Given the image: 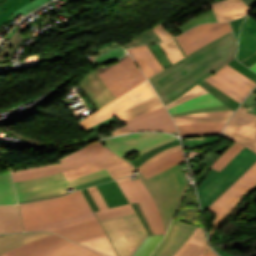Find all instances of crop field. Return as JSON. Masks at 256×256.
Segmentation results:
<instances>
[{
  "label": "crop field",
  "mask_w": 256,
  "mask_h": 256,
  "mask_svg": "<svg viewBox=\"0 0 256 256\" xmlns=\"http://www.w3.org/2000/svg\"><path fill=\"white\" fill-rule=\"evenodd\" d=\"M160 106H163V103L160 101V99L156 95L128 110H125L115 115V117L120 122H123Z\"/></svg>",
  "instance_id": "1d83c4d3"
},
{
  "label": "crop field",
  "mask_w": 256,
  "mask_h": 256,
  "mask_svg": "<svg viewBox=\"0 0 256 256\" xmlns=\"http://www.w3.org/2000/svg\"><path fill=\"white\" fill-rule=\"evenodd\" d=\"M71 1H74V0H70V1H68V3L71 2ZM101 1H102V0H101Z\"/></svg>",
  "instance_id": "e1d0b9f6"
},
{
  "label": "crop field",
  "mask_w": 256,
  "mask_h": 256,
  "mask_svg": "<svg viewBox=\"0 0 256 256\" xmlns=\"http://www.w3.org/2000/svg\"><path fill=\"white\" fill-rule=\"evenodd\" d=\"M233 110L206 112L173 118L176 125L193 122H227Z\"/></svg>",
  "instance_id": "d3111659"
},
{
  "label": "crop field",
  "mask_w": 256,
  "mask_h": 256,
  "mask_svg": "<svg viewBox=\"0 0 256 256\" xmlns=\"http://www.w3.org/2000/svg\"><path fill=\"white\" fill-rule=\"evenodd\" d=\"M218 21H230L244 16L249 9L242 0H222L211 4Z\"/></svg>",
  "instance_id": "dafd665d"
},
{
  "label": "crop field",
  "mask_w": 256,
  "mask_h": 256,
  "mask_svg": "<svg viewBox=\"0 0 256 256\" xmlns=\"http://www.w3.org/2000/svg\"><path fill=\"white\" fill-rule=\"evenodd\" d=\"M113 43H115V42L107 43V44H104V45H101V46H97V47H93V48H90V49L84 51L83 53L86 56V55H88V54H90L92 52L99 51V50H101V49H103V48H105V47H107V46H109L110 44H113Z\"/></svg>",
  "instance_id": "447ae74e"
},
{
  "label": "crop field",
  "mask_w": 256,
  "mask_h": 256,
  "mask_svg": "<svg viewBox=\"0 0 256 256\" xmlns=\"http://www.w3.org/2000/svg\"><path fill=\"white\" fill-rule=\"evenodd\" d=\"M184 161V156L182 150H179L177 152L168 154L161 158L160 160L153 163L151 166H149L147 169L142 171L141 173L144 175V177L147 179L163 170H166L172 166H175L181 162Z\"/></svg>",
  "instance_id": "750c4746"
},
{
  "label": "crop field",
  "mask_w": 256,
  "mask_h": 256,
  "mask_svg": "<svg viewBox=\"0 0 256 256\" xmlns=\"http://www.w3.org/2000/svg\"><path fill=\"white\" fill-rule=\"evenodd\" d=\"M205 80L240 103L256 85L251 79L238 73L228 65L217 70Z\"/></svg>",
  "instance_id": "cbeb9de0"
},
{
  "label": "crop field",
  "mask_w": 256,
  "mask_h": 256,
  "mask_svg": "<svg viewBox=\"0 0 256 256\" xmlns=\"http://www.w3.org/2000/svg\"><path fill=\"white\" fill-rule=\"evenodd\" d=\"M0 256H8L6 253H4V254H2V255H0Z\"/></svg>",
  "instance_id": "0f1d7ab4"
},
{
  "label": "crop field",
  "mask_w": 256,
  "mask_h": 256,
  "mask_svg": "<svg viewBox=\"0 0 256 256\" xmlns=\"http://www.w3.org/2000/svg\"><path fill=\"white\" fill-rule=\"evenodd\" d=\"M149 49L152 51V53L155 55V57L158 59V61L161 63V65L164 67H168L171 65V62L167 58L166 54L160 47L159 43L148 45Z\"/></svg>",
  "instance_id": "425ffa30"
},
{
  "label": "crop field",
  "mask_w": 256,
  "mask_h": 256,
  "mask_svg": "<svg viewBox=\"0 0 256 256\" xmlns=\"http://www.w3.org/2000/svg\"><path fill=\"white\" fill-rule=\"evenodd\" d=\"M237 59L248 67L256 62V40L243 27H241Z\"/></svg>",
  "instance_id": "eef30255"
},
{
  "label": "crop field",
  "mask_w": 256,
  "mask_h": 256,
  "mask_svg": "<svg viewBox=\"0 0 256 256\" xmlns=\"http://www.w3.org/2000/svg\"><path fill=\"white\" fill-rule=\"evenodd\" d=\"M256 93L252 92L248 98L243 102L242 106H245L246 108H250L255 102H256Z\"/></svg>",
  "instance_id": "9d1cf04e"
},
{
  "label": "crop field",
  "mask_w": 256,
  "mask_h": 256,
  "mask_svg": "<svg viewBox=\"0 0 256 256\" xmlns=\"http://www.w3.org/2000/svg\"><path fill=\"white\" fill-rule=\"evenodd\" d=\"M9 256H102L56 234L6 252Z\"/></svg>",
  "instance_id": "d8731c3e"
},
{
  "label": "crop field",
  "mask_w": 256,
  "mask_h": 256,
  "mask_svg": "<svg viewBox=\"0 0 256 256\" xmlns=\"http://www.w3.org/2000/svg\"><path fill=\"white\" fill-rule=\"evenodd\" d=\"M213 249H215L221 256H232L231 254L227 253L225 250H222L216 247H214Z\"/></svg>",
  "instance_id": "0765c3eb"
},
{
  "label": "crop field",
  "mask_w": 256,
  "mask_h": 256,
  "mask_svg": "<svg viewBox=\"0 0 256 256\" xmlns=\"http://www.w3.org/2000/svg\"><path fill=\"white\" fill-rule=\"evenodd\" d=\"M181 149L180 145L174 146L172 148L166 149L156 155H154L152 158H150L149 160H147L146 162H144L142 165H140L139 167H137V169L141 172L142 170H144L145 168H147L149 165H151L153 162H155L157 159L163 157L164 155L177 151Z\"/></svg>",
  "instance_id": "25e5ab78"
},
{
  "label": "crop field",
  "mask_w": 256,
  "mask_h": 256,
  "mask_svg": "<svg viewBox=\"0 0 256 256\" xmlns=\"http://www.w3.org/2000/svg\"><path fill=\"white\" fill-rule=\"evenodd\" d=\"M79 85L98 109L115 99L113 93L103 83L95 70L87 73Z\"/></svg>",
  "instance_id": "214f88e0"
},
{
  "label": "crop field",
  "mask_w": 256,
  "mask_h": 256,
  "mask_svg": "<svg viewBox=\"0 0 256 256\" xmlns=\"http://www.w3.org/2000/svg\"><path fill=\"white\" fill-rule=\"evenodd\" d=\"M196 228L174 219L166 237L152 256H172L188 240Z\"/></svg>",
  "instance_id": "bc2a9ffb"
},
{
  "label": "crop field",
  "mask_w": 256,
  "mask_h": 256,
  "mask_svg": "<svg viewBox=\"0 0 256 256\" xmlns=\"http://www.w3.org/2000/svg\"><path fill=\"white\" fill-rule=\"evenodd\" d=\"M132 206H133L135 212L137 213L139 219L141 220L144 228L146 229L148 235L154 234V232H153L151 226L149 225V223H148V221H147V219H146V217H145V215H144V213H143L139 203L138 202L137 203H133Z\"/></svg>",
  "instance_id": "89e229c0"
},
{
  "label": "crop field",
  "mask_w": 256,
  "mask_h": 256,
  "mask_svg": "<svg viewBox=\"0 0 256 256\" xmlns=\"http://www.w3.org/2000/svg\"><path fill=\"white\" fill-rule=\"evenodd\" d=\"M25 232L52 230L95 219L82 192L20 205Z\"/></svg>",
  "instance_id": "ac0d7876"
},
{
  "label": "crop field",
  "mask_w": 256,
  "mask_h": 256,
  "mask_svg": "<svg viewBox=\"0 0 256 256\" xmlns=\"http://www.w3.org/2000/svg\"><path fill=\"white\" fill-rule=\"evenodd\" d=\"M138 176L153 196L166 232L188 185L184 173L177 165L148 180L141 173Z\"/></svg>",
  "instance_id": "34b2d1b8"
},
{
  "label": "crop field",
  "mask_w": 256,
  "mask_h": 256,
  "mask_svg": "<svg viewBox=\"0 0 256 256\" xmlns=\"http://www.w3.org/2000/svg\"><path fill=\"white\" fill-rule=\"evenodd\" d=\"M109 175L106 169L82 178L67 181L63 173L15 184L18 202L37 201L69 193L66 189Z\"/></svg>",
  "instance_id": "f4fd0767"
},
{
  "label": "crop field",
  "mask_w": 256,
  "mask_h": 256,
  "mask_svg": "<svg viewBox=\"0 0 256 256\" xmlns=\"http://www.w3.org/2000/svg\"><path fill=\"white\" fill-rule=\"evenodd\" d=\"M129 203L139 201L155 234L165 233L157 206L140 179L132 181L128 176L116 180Z\"/></svg>",
  "instance_id": "d1516ede"
},
{
  "label": "crop field",
  "mask_w": 256,
  "mask_h": 256,
  "mask_svg": "<svg viewBox=\"0 0 256 256\" xmlns=\"http://www.w3.org/2000/svg\"><path fill=\"white\" fill-rule=\"evenodd\" d=\"M231 30L228 22L208 23L190 29L176 38L188 55Z\"/></svg>",
  "instance_id": "5142ce71"
},
{
  "label": "crop field",
  "mask_w": 256,
  "mask_h": 256,
  "mask_svg": "<svg viewBox=\"0 0 256 256\" xmlns=\"http://www.w3.org/2000/svg\"><path fill=\"white\" fill-rule=\"evenodd\" d=\"M125 54V50L119 44H113L112 46L89 55L91 63L94 65L107 64L111 61L119 59Z\"/></svg>",
  "instance_id": "d32e631a"
},
{
  "label": "crop field",
  "mask_w": 256,
  "mask_h": 256,
  "mask_svg": "<svg viewBox=\"0 0 256 256\" xmlns=\"http://www.w3.org/2000/svg\"><path fill=\"white\" fill-rule=\"evenodd\" d=\"M242 26L256 38V22L249 15Z\"/></svg>",
  "instance_id": "dbb93151"
},
{
  "label": "crop field",
  "mask_w": 256,
  "mask_h": 256,
  "mask_svg": "<svg viewBox=\"0 0 256 256\" xmlns=\"http://www.w3.org/2000/svg\"><path fill=\"white\" fill-rule=\"evenodd\" d=\"M30 34V32L18 28L14 35L11 37L3 51L0 53V63H3L5 60L11 59V54L15 51L17 46Z\"/></svg>",
  "instance_id": "028f5c9d"
},
{
  "label": "crop field",
  "mask_w": 256,
  "mask_h": 256,
  "mask_svg": "<svg viewBox=\"0 0 256 256\" xmlns=\"http://www.w3.org/2000/svg\"><path fill=\"white\" fill-rule=\"evenodd\" d=\"M256 187V163L247 170L232 186H230L209 208L208 210L217 213L213 223L210 238L216 225L229 213V211L239 202L240 198L248 191Z\"/></svg>",
  "instance_id": "3316defc"
},
{
  "label": "crop field",
  "mask_w": 256,
  "mask_h": 256,
  "mask_svg": "<svg viewBox=\"0 0 256 256\" xmlns=\"http://www.w3.org/2000/svg\"><path fill=\"white\" fill-rule=\"evenodd\" d=\"M17 203L10 172L0 173V204Z\"/></svg>",
  "instance_id": "5866460e"
},
{
  "label": "crop field",
  "mask_w": 256,
  "mask_h": 256,
  "mask_svg": "<svg viewBox=\"0 0 256 256\" xmlns=\"http://www.w3.org/2000/svg\"><path fill=\"white\" fill-rule=\"evenodd\" d=\"M161 41L160 38L157 36V34L154 32V30L151 28L139 37L135 38L125 46H123L125 49H128L130 47H133L135 45L140 44H148V43H155Z\"/></svg>",
  "instance_id": "03da06ac"
},
{
  "label": "crop field",
  "mask_w": 256,
  "mask_h": 256,
  "mask_svg": "<svg viewBox=\"0 0 256 256\" xmlns=\"http://www.w3.org/2000/svg\"><path fill=\"white\" fill-rule=\"evenodd\" d=\"M23 232L18 205H0V233Z\"/></svg>",
  "instance_id": "a9b5d70f"
},
{
  "label": "crop field",
  "mask_w": 256,
  "mask_h": 256,
  "mask_svg": "<svg viewBox=\"0 0 256 256\" xmlns=\"http://www.w3.org/2000/svg\"><path fill=\"white\" fill-rule=\"evenodd\" d=\"M175 139L178 138L163 133H142L120 136L104 140V142L114 152L125 158L135 151L138 152L140 156L157 146Z\"/></svg>",
  "instance_id": "28ad6ade"
},
{
  "label": "crop field",
  "mask_w": 256,
  "mask_h": 256,
  "mask_svg": "<svg viewBox=\"0 0 256 256\" xmlns=\"http://www.w3.org/2000/svg\"><path fill=\"white\" fill-rule=\"evenodd\" d=\"M128 52L141 67L147 78L164 70L147 45L133 47Z\"/></svg>",
  "instance_id": "00972430"
},
{
  "label": "crop field",
  "mask_w": 256,
  "mask_h": 256,
  "mask_svg": "<svg viewBox=\"0 0 256 256\" xmlns=\"http://www.w3.org/2000/svg\"><path fill=\"white\" fill-rule=\"evenodd\" d=\"M95 69L116 98L146 80L129 54L114 64Z\"/></svg>",
  "instance_id": "5a996713"
},
{
  "label": "crop field",
  "mask_w": 256,
  "mask_h": 256,
  "mask_svg": "<svg viewBox=\"0 0 256 256\" xmlns=\"http://www.w3.org/2000/svg\"><path fill=\"white\" fill-rule=\"evenodd\" d=\"M207 93V91H205L202 87L200 86H196L193 89H191L189 92H187L186 94H184L182 97H180L179 99L171 102L170 104L166 105L167 109L186 100L192 99L194 97H197L199 95L205 94Z\"/></svg>",
  "instance_id": "d23c7cc5"
},
{
  "label": "crop field",
  "mask_w": 256,
  "mask_h": 256,
  "mask_svg": "<svg viewBox=\"0 0 256 256\" xmlns=\"http://www.w3.org/2000/svg\"><path fill=\"white\" fill-rule=\"evenodd\" d=\"M115 155L99 142L87 144L83 149L61 158V163L12 172L14 182L35 179Z\"/></svg>",
  "instance_id": "e52e79f7"
},
{
  "label": "crop field",
  "mask_w": 256,
  "mask_h": 256,
  "mask_svg": "<svg viewBox=\"0 0 256 256\" xmlns=\"http://www.w3.org/2000/svg\"><path fill=\"white\" fill-rule=\"evenodd\" d=\"M88 190L100 210L96 212L99 220L134 212L131 204L109 209L97 186L89 187Z\"/></svg>",
  "instance_id": "730fd06b"
},
{
  "label": "crop field",
  "mask_w": 256,
  "mask_h": 256,
  "mask_svg": "<svg viewBox=\"0 0 256 256\" xmlns=\"http://www.w3.org/2000/svg\"><path fill=\"white\" fill-rule=\"evenodd\" d=\"M78 243L99 251L103 254L109 256H117L107 235Z\"/></svg>",
  "instance_id": "e1f06a70"
},
{
  "label": "crop field",
  "mask_w": 256,
  "mask_h": 256,
  "mask_svg": "<svg viewBox=\"0 0 256 256\" xmlns=\"http://www.w3.org/2000/svg\"><path fill=\"white\" fill-rule=\"evenodd\" d=\"M246 16L239 18L237 20L234 21H230L232 28L234 30V33L236 35V38H238V34H239V30H240V25L243 22V20L245 19Z\"/></svg>",
  "instance_id": "1d79db26"
},
{
  "label": "crop field",
  "mask_w": 256,
  "mask_h": 256,
  "mask_svg": "<svg viewBox=\"0 0 256 256\" xmlns=\"http://www.w3.org/2000/svg\"><path fill=\"white\" fill-rule=\"evenodd\" d=\"M200 86H202L204 89H206L209 93H211L212 95H214L216 98H218L219 100H221L223 103H225L227 106L231 107L233 110H235L237 108V106L240 104L237 101H235L234 99H232L231 97H229L228 95H226L225 93H223L222 91H220L219 89H217L216 87H214L213 85H211L210 83H208L207 81H202L200 84H198Z\"/></svg>",
  "instance_id": "c035e120"
},
{
  "label": "crop field",
  "mask_w": 256,
  "mask_h": 256,
  "mask_svg": "<svg viewBox=\"0 0 256 256\" xmlns=\"http://www.w3.org/2000/svg\"><path fill=\"white\" fill-rule=\"evenodd\" d=\"M255 162L256 154L244 147L220 172L212 169L197 188L203 211Z\"/></svg>",
  "instance_id": "412701ff"
},
{
  "label": "crop field",
  "mask_w": 256,
  "mask_h": 256,
  "mask_svg": "<svg viewBox=\"0 0 256 256\" xmlns=\"http://www.w3.org/2000/svg\"><path fill=\"white\" fill-rule=\"evenodd\" d=\"M0 236H3V235H0Z\"/></svg>",
  "instance_id": "ae633e8c"
},
{
  "label": "crop field",
  "mask_w": 256,
  "mask_h": 256,
  "mask_svg": "<svg viewBox=\"0 0 256 256\" xmlns=\"http://www.w3.org/2000/svg\"><path fill=\"white\" fill-rule=\"evenodd\" d=\"M155 91L149 85L147 81L126 93L122 97L115 100L113 103L105 107L104 109L98 111L97 113L91 115L89 118L78 123L81 128L87 129L153 95H155Z\"/></svg>",
  "instance_id": "22f410ed"
},
{
  "label": "crop field",
  "mask_w": 256,
  "mask_h": 256,
  "mask_svg": "<svg viewBox=\"0 0 256 256\" xmlns=\"http://www.w3.org/2000/svg\"><path fill=\"white\" fill-rule=\"evenodd\" d=\"M49 0H34L30 3H28L27 5H25L24 7H20L21 9H19L18 11L14 12L11 16H9V19H12L14 16H16L19 12L26 15L28 12L32 11L33 9L37 8L38 6L44 4L45 2H47Z\"/></svg>",
  "instance_id": "73cf0c24"
},
{
  "label": "crop field",
  "mask_w": 256,
  "mask_h": 256,
  "mask_svg": "<svg viewBox=\"0 0 256 256\" xmlns=\"http://www.w3.org/2000/svg\"><path fill=\"white\" fill-rule=\"evenodd\" d=\"M203 22H217L212 9L201 14L200 16L192 19L191 21L187 22L186 24L178 27V29L182 33L184 31L192 28L193 26L201 24Z\"/></svg>",
  "instance_id": "5d738f31"
},
{
  "label": "crop field",
  "mask_w": 256,
  "mask_h": 256,
  "mask_svg": "<svg viewBox=\"0 0 256 256\" xmlns=\"http://www.w3.org/2000/svg\"><path fill=\"white\" fill-rule=\"evenodd\" d=\"M161 47L167 54L170 61L173 63L177 62L178 60L184 58L180 49L176 45L175 41L173 39L160 43Z\"/></svg>",
  "instance_id": "b54c1fbb"
},
{
  "label": "crop field",
  "mask_w": 256,
  "mask_h": 256,
  "mask_svg": "<svg viewBox=\"0 0 256 256\" xmlns=\"http://www.w3.org/2000/svg\"><path fill=\"white\" fill-rule=\"evenodd\" d=\"M75 242L106 235L98 219L52 230Z\"/></svg>",
  "instance_id": "92a150f3"
},
{
  "label": "crop field",
  "mask_w": 256,
  "mask_h": 256,
  "mask_svg": "<svg viewBox=\"0 0 256 256\" xmlns=\"http://www.w3.org/2000/svg\"><path fill=\"white\" fill-rule=\"evenodd\" d=\"M174 40L185 58L149 78L165 105L179 98L211 73L235 59L237 50L232 31L188 56L176 38Z\"/></svg>",
  "instance_id": "8a807250"
},
{
  "label": "crop field",
  "mask_w": 256,
  "mask_h": 256,
  "mask_svg": "<svg viewBox=\"0 0 256 256\" xmlns=\"http://www.w3.org/2000/svg\"><path fill=\"white\" fill-rule=\"evenodd\" d=\"M227 109H231V108L227 107L226 105H222V106H216V107L199 108L196 110L185 111V112L173 114L172 116L175 117V116H181V115L191 114V113H199V112L215 111V110H227Z\"/></svg>",
  "instance_id": "1f2cbd36"
},
{
  "label": "crop field",
  "mask_w": 256,
  "mask_h": 256,
  "mask_svg": "<svg viewBox=\"0 0 256 256\" xmlns=\"http://www.w3.org/2000/svg\"><path fill=\"white\" fill-rule=\"evenodd\" d=\"M243 147L234 142L210 167L220 171Z\"/></svg>",
  "instance_id": "b80d0937"
},
{
  "label": "crop field",
  "mask_w": 256,
  "mask_h": 256,
  "mask_svg": "<svg viewBox=\"0 0 256 256\" xmlns=\"http://www.w3.org/2000/svg\"><path fill=\"white\" fill-rule=\"evenodd\" d=\"M248 112L256 114V103L248 110Z\"/></svg>",
  "instance_id": "db79e9e6"
},
{
  "label": "crop field",
  "mask_w": 256,
  "mask_h": 256,
  "mask_svg": "<svg viewBox=\"0 0 256 256\" xmlns=\"http://www.w3.org/2000/svg\"><path fill=\"white\" fill-rule=\"evenodd\" d=\"M49 234H52V233L32 232V233L11 234V235H5L3 237H0V254L8 250H11L13 248L30 243L34 240H37Z\"/></svg>",
  "instance_id": "ae1a2a85"
},
{
  "label": "crop field",
  "mask_w": 256,
  "mask_h": 256,
  "mask_svg": "<svg viewBox=\"0 0 256 256\" xmlns=\"http://www.w3.org/2000/svg\"><path fill=\"white\" fill-rule=\"evenodd\" d=\"M30 1L32 0H0V26L3 23L8 24L10 20L6 18Z\"/></svg>",
  "instance_id": "0bd39190"
},
{
  "label": "crop field",
  "mask_w": 256,
  "mask_h": 256,
  "mask_svg": "<svg viewBox=\"0 0 256 256\" xmlns=\"http://www.w3.org/2000/svg\"><path fill=\"white\" fill-rule=\"evenodd\" d=\"M126 124L127 125L118 128V130L113 131L114 135L125 132L146 130L177 132L165 106L138 116L126 122Z\"/></svg>",
  "instance_id": "d9b57169"
},
{
  "label": "crop field",
  "mask_w": 256,
  "mask_h": 256,
  "mask_svg": "<svg viewBox=\"0 0 256 256\" xmlns=\"http://www.w3.org/2000/svg\"><path fill=\"white\" fill-rule=\"evenodd\" d=\"M162 41L172 38L168 31L160 24L153 28Z\"/></svg>",
  "instance_id": "0fb4a251"
},
{
  "label": "crop field",
  "mask_w": 256,
  "mask_h": 256,
  "mask_svg": "<svg viewBox=\"0 0 256 256\" xmlns=\"http://www.w3.org/2000/svg\"><path fill=\"white\" fill-rule=\"evenodd\" d=\"M164 235L165 234L148 236L134 256H149L162 241Z\"/></svg>",
  "instance_id": "c21b1889"
},
{
  "label": "crop field",
  "mask_w": 256,
  "mask_h": 256,
  "mask_svg": "<svg viewBox=\"0 0 256 256\" xmlns=\"http://www.w3.org/2000/svg\"><path fill=\"white\" fill-rule=\"evenodd\" d=\"M223 104L221 101L213 97L211 94L207 93L200 97L194 98L192 100L183 102L171 109H169L170 113H176L185 110L196 109L199 107H206V106H215Z\"/></svg>",
  "instance_id": "120bbe31"
},
{
  "label": "crop field",
  "mask_w": 256,
  "mask_h": 256,
  "mask_svg": "<svg viewBox=\"0 0 256 256\" xmlns=\"http://www.w3.org/2000/svg\"><path fill=\"white\" fill-rule=\"evenodd\" d=\"M240 106L224 130V136L237 140L256 152V115Z\"/></svg>",
  "instance_id": "733c2abd"
},
{
  "label": "crop field",
  "mask_w": 256,
  "mask_h": 256,
  "mask_svg": "<svg viewBox=\"0 0 256 256\" xmlns=\"http://www.w3.org/2000/svg\"><path fill=\"white\" fill-rule=\"evenodd\" d=\"M249 68H251L252 70H254L256 72V63Z\"/></svg>",
  "instance_id": "78b8030e"
},
{
  "label": "crop field",
  "mask_w": 256,
  "mask_h": 256,
  "mask_svg": "<svg viewBox=\"0 0 256 256\" xmlns=\"http://www.w3.org/2000/svg\"><path fill=\"white\" fill-rule=\"evenodd\" d=\"M204 256H216L213 252H212V250L209 248V250L205 253V255Z\"/></svg>",
  "instance_id": "7b73153f"
},
{
  "label": "crop field",
  "mask_w": 256,
  "mask_h": 256,
  "mask_svg": "<svg viewBox=\"0 0 256 256\" xmlns=\"http://www.w3.org/2000/svg\"><path fill=\"white\" fill-rule=\"evenodd\" d=\"M225 123H193L177 126L180 136L200 134H220Z\"/></svg>",
  "instance_id": "bd1437ed"
},
{
  "label": "crop field",
  "mask_w": 256,
  "mask_h": 256,
  "mask_svg": "<svg viewBox=\"0 0 256 256\" xmlns=\"http://www.w3.org/2000/svg\"><path fill=\"white\" fill-rule=\"evenodd\" d=\"M106 168L114 179L133 174L136 171L134 166L129 162L121 159L117 155L99 160L76 169L64 172L67 180L85 176L87 174L96 172L98 170Z\"/></svg>",
  "instance_id": "4a817a6b"
},
{
  "label": "crop field",
  "mask_w": 256,
  "mask_h": 256,
  "mask_svg": "<svg viewBox=\"0 0 256 256\" xmlns=\"http://www.w3.org/2000/svg\"><path fill=\"white\" fill-rule=\"evenodd\" d=\"M120 256H133L148 236L136 213L101 221Z\"/></svg>",
  "instance_id": "dd49c442"
},
{
  "label": "crop field",
  "mask_w": 256,
  "mask_h": 256,
  "mask_svg": "<svg viewBox=\"0 0 256 256\" xmlns=\"http://www.w3.org/2000/svg\"><path fill=\"white\" fill-rule=\"evenodd\" d=\"M209 248L203 228H197L190 239L173 256H203Z\"/></svg>",
  "instance_id": "4177f3b9"
}]
</instances>
